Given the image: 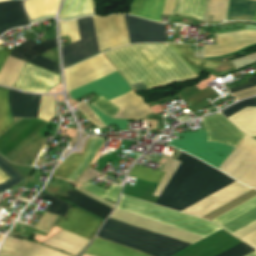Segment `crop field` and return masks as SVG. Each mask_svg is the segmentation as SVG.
Here are the masks:
<instances>
[{"label":"crop field","instance_id":"obj_1","mask_svg":"<svg viewBox=\"0 0 256 256\" xmlns=\"http://www.w3.org/2000/svg\"><path fill=\"white\" fill-rule=\"evenodd\" d=\"M196 74L192 65L215 68L219 63L194 57L189 46L169 44ZM168 44H138L105 53L118 70L133 84L143 81L148 89L196 77L190 68ZM141 83L133 84L137 90L147 89Z\"/></svg>","mask_w":256,"mask_h":256},{"label":"crop field","instance_id":"obj_2","mask_svg":"<svg viewBox=\"0 0 256 256\" xmlns=\"http://www.w3.org/2000/svg\"><path fill=\"white\" fill-rule=\"evenodd\" d=\"M99 50L114 49L139 42H166L165 26L138 17L115 14L93 17ZM92 17L77 20L81 40L63 47L64 67L99 52ZM76 20L60 22L61 36L70 35L72 42L80 39ZM97 54V53H96Z\"/></svg>","mask_w":256,"mask_h":256},{"label":"crop field","instance_id":"obj_3","mask_svg":"<svg viewBox=\"0 0 256 256\" xmlns=\"http://www.w3.org/2000/svg\"><path fill=\"white\" fill-rule=\"evenodd\" d=\"M113 71H115V69L102 54L70 67L64 70L67 91L70 92ZM90 91H94L111 99L131 91V88L125 82L123 77L115 71L70 92V96L72 99H75ZM111 100L122 109L102 96L98 98L93 105L111 117L121 109L113 116L118 118L142 116L151 112L143 99L138 97L133 91Z\"/></svg>","mask_w":256,"mask_h":256},{"label":"crop field","instance_id":"obj_4","mask_svg":"<svg viewBox=\"0 0 256 256\" xmlns=\"http://www.w3.org/2000/svg\"><path fill=\"white\" fill-rule=\"evenodd\" d=\"M116 208L204 237L221 229L207 220L170 210L124 195H121ZM117 209L114 211V213L112 212L113 214L110 216V218L123 221L191 244L204 238Z\"/></svg>","mask_w":256,"mask_h":256},{"label":"crop field","instance_id":"obj_5","mask_svg":"<svg viewBox=\"0 0 256 256\" xmlns=\"http://www.w3.org/2000/svg\"><path fill=\"white\" fill-rule=\"evenodd\" d=\"M178 170L156 201L181 211L234 180L182 152Z\"/></svg>","mask_w":256,"mask_h":256},{"label":"crop field","instance_id":"obj_6","mask_svg":"<svg viewBox=\"0 0 256 256\" xmlns=\"http://www.w3.org/2000/svg\"><path fill=\"white\" fill-rule=\"evenodd\" d=\"M151 256H171L191 245L108 218L98 235Z\"/></svg>","mask_w":256,"mask_h":256},{"label":"crop field","instance_id":"obj_7","mask_svg":"<svg viewBox=\"0 0 256 256\" xmlns=\"http://www.w3.org/2000/svg\"><path fill=\"white\" fill-rule=\"evenodd\" d=\"M15 125L0 135V154L13 163L33 165L48 126L39 119L14 118Z\"/></svg>","mask_w":256,"mask_h":256},{"label":"crop field","instance_id":"obj_8","mask_svg":"<svg viewBox=\"0 0 256 256\" xmlns=\"http://www.w3.org/2000/svg\"><path fill=\"white\" fill-rule=\"evenodd\" d=\"M207 0H134L131 14L160 22L161 15L195 17L202 21ZM256 1V0H252ZM228 0H219L214 21L226 19Z\"/></svg>","mask_w":256,"mask_h":256},{"label":"crop field","instance_id":"obj_9","mask_svg":"<svg viewBox=\"0 0 256 256\" xmlns=\"http://www.w3.org/2000/svg\"><path fill=\"white\" fill-rule=\"evenodd\" d=\"M218 169L248 185L256 176V141L246 136ZM249 186L256 188V177Z\"/></svg>","mask_w":256,"mask_h":256},{"label":"crop field","instance_id":"obj_10","mask_svg":"<svg viewBox=\"0 0 256 256\" xmlns=\"http://www.w3.org/2000/svg\"><path fill=\"white\" fill-rule=\"evenodd\" d=\"M197 133L177 134L184 136L183 140H173L170 145L175 146L189 154H192L216 168L230 154L234 147L219 143H206L205 130H196Z\"/></svg>","mask_w":256,"mask_h":256},{"label":"crop field","instance_id":"obj_11","mask_svg":"<svg viewBox=\"0 0 256 256\" xmlns=\"http://www.w3.org/2000/svg\"><path fill=\"white\" fill-rule=\"evenodd\" d=\"M89 139L86 143V149L84 153L76 154L73 153L67 159H65L58 167L54 176H57L62 179H66L67 176L71 173V171L75 168V166L80 162V160L84 157L87 151ZM105 139L100 137H91L90 144L88 148V152L85 157L81 160V162L77 165V167L72 171V173L68 176L67 180L74 182L77 177L84 171V169L89 165V163L93 160L94 156L98 152L99 148L103 144ZM99 172L89 168L84 175L78 180V182L84 184L87 181L95 178Z\"/></svg>","mask_w":256,"mask_h":256},{"label":"crop field","instance_id":"obj_12","mask_svg":"<svg viewBox=\"0 0 256 256\" xmlns=\"http://www.w3.org/2000/svg\"><path fill=\"white\" fill-rule=\"evenodd\" d=\"M53 197V196H52ZM50 196H47L43 193H41L38 198H42L45 200H48L52 202L47 209V212L58 214L61 216H65L67 210L71 207L55 198H52ZM64 198L68 199L72 203L76 204L77 206L105 219L106 216L111 211V208L87 197L86 195L74 190H68V192L65 194Z\"/></svg>","mask_w":256,"mask_h":256},{"label":"crop field","instance_id":"obj_13","mask_svg":"<svg viewBox=\"0 0 256 256\" xmlns=\"http://www.w3.org/2000/svg\"><path fill=\"white\" fill-rule=\"evenodd\" d=\"M240 242L221 229L173 256H215Z\"/></svg>","mask_w":256,"mask_h":256},{"label":"crop field","instance_id":"obj_14","mask_svg":"<svg viewBox=\"0 0 256 256\" xmlns=\"http://www.w3.org/2000/svg\"><path fill=\"white\" fill-rule=\"evenodd\" d=\"M201 120L208 133L207 142H219L236 147L245 136L219 113Z\"/></svg>","mask_w":256,"mask_h":256},{"label":"crop field","instance_id":"obj_15","mask_svg":"<svg viewBox=\"0 0 256 256\" xmlns=\"http://www.w3.org/2000/svg\"><path fill=\"white\" fill-rule=\"evenodd\" d=\"M101 223L102 220L71 207L65 218L59 216L55 226L91 241Z\"/></svg>","mask_w":256,"mask_h":256},{"label":"crop field","instance_id":"obj_16","mask_svg":"<svg viewBox=\"0 0 256 256\" xmlns=\"http://www.w3.org/2000/svg\"><path fill=\"white\" fill-rule=\"evenodd\" d=\"M249 190L235 181L182 212L201 217Z\"/></svg>","mask_w":256,"mask_h":256},{"label":"crop field","instance_id":"obj_17","mask_svg":"<svg viewBox=\"0 0 256 256\" xmlns=\"http://www.w3.org/2000/svg\"><path fill=\"white\" fill-rule=\"evenodd\" d=\"M60 81V76L28 63L15 88L27 92L46 93Z\"/></svg>","mask_w":256,"mask_h":256},{"label":"crop field","instance_id":"obj_18","mask_svg":"<svg viewBox=\"0 0 256 256\" xmlns=\"http://www.w3.org/2000/svg\"><path fill=\"white\" fill-rule=\"evenodd\" d=\"M217 41H221V45L205 46L204 57L215 56L227 52L235 51L246 45L256 42V32L241 31L227 34L217 35Z\"/></svg>","mask_w":256,"mask_h":256},{"label":"crop field","instance_id":"obj_19","mask_svg":"<svg viewBox=\"0 0 256 256\" xmlns=\"http://www.w3.org/2000/svg\"><path fill=\"white\" fill-rule=\"evenodd\" d=\"M10 237L0 250L1 256H68L40 244Z\"/></svg>","mask_w":256,"mask_h":256},{"label":"crop field","instance_id":"obj_20","mask_svg":"<svg viewBox=\"0 0 256 256\" xmlns=\"http://www.w3.org/2000/svg\"><path fill=\"white\" fill-rule=\"evenodd\" d=\"M29 24L22 1H8L0 3V34L21 25Z\"/></svg>","mask_w":256,"mask_h":256},{"label":"crop field","instance_id":"obj_21","mask_svg":"<svg viewBox=\"0 0 256 256\" xmlns=\"http://www.w3.org/2000/svg\"><path fill=\"white\" fill-rule=\"evenodd\" d=\"M41 96L9 91V102L13 117L37 118Z\"/></svg>","mask_w":256,"mask_h":256},{"label":"crop field","instance_id":"obj_22","mask_svg":"<svg viewBox=\"0 0 256 256\" xmlns=\"http://www.w3.org/2000/svg\"><path fill=\"white\" fill-rule=\"evenodd\" d=\"M88 243L89 241L63 230L49 240L45 241L43 244L76 256Z\"/></svg>","mask_w":256,"mask_h":256},{"label":"crop field","instance_id":"obj_23","mask_svg":"<svg viewBox=\"0 0 256 256\" xmlns=\"http://www.w3.org/2000/svg\"><path fill=\"white\" fill-rule=\"evenodd\" d=\"M57 46V40L54 38L53 40H46L40 44H36L32 40L25 41L17 48L11 51L10 56L21 59L23 61L28 62L37 54L41 55L42 53L54 48Z\"/></svg>","mask_w":256,"mask_h":256},{"label":"crop field","instance_id":"obj_24","mask_svg":"<svg viewBox=\"0 0 256 256\" xmlns=\"http://www.w3.org/2000/svg\"><path fill=\"white\" fill-rule=\"evenodd\" d=\"M97 256H146L142 253L95 238L92 245L85 251Z\"/></svg>","mask_w":256,"mask_h":256},{"label":"crop field","instance_id":"obj_25","mask_svg":"<svg viewBox=\"0 0 256 256\" xmlns=\"http://www.w3.org/2000/svg\"><path fill=\"white\" fill-rule=\"evenodd\" d=\"M256 13V2L246 0H230L228 21L251 20Z\"/></svg>","mask_w":256,"mask_h":256},{"label":"crop field","instance_id":"obj_26","mask_svg":"<svg viewBox=\"0 0 256 256\" xmlns=\"http://www.w3.org/2000/svg\"><path fill=\"white\" fill-rule=\"evenodd\" d=\"M228 120L248 135L256 136V108H247Z\"/></svg>","mask_w":256,"mask_h":256},{"label":"crop field","instance_id":"obj_27","mask_svg":"<svg viewBox=\"0 0 256 256\" xmlns=\"http://www.w3.org/2000/svg\"><path fill=\"white\" fill-rule=\"evenodd\" d=\"M158 184L143 180H137L134 187L125 185L122 194L137 197L155 203L157 197L152 196Z\"/></svg>","mask_w":256,"mask_h":256},{"label":"crop field","instance_id":"obj_28","mask_svg":"<svg viewBox=\"0 0 256 256\" xmlns=\"http://www.w3.org/2000/svg\"><path fill=\"white\" fill-rule=\"evenodd\" d=\"M24 65L25 62L8 56L2 70L0 71V85L13 87Z\"/></svg>","mask_w":256,"mask_h":256},{"label":"crop field","instance_id":"obj_29","mask_svg":"<svg viewBox=\"0 0 256 256\" xmlns=\"http://www.w3.org/2000/svg\"><path fill=\"white\" fill-rule=\"evenodd\" d=\"M58 3L59 0H27L25 1V7L31 19H33L41 15L55 14Z\"/></svg>","mask_w":256,"mask_h":256},{"label":"crop field","instance_id":"obj_30","mask_svg":"<svg viewBox=\"0 0 256 256\" xmlns=\"http://www.w3.org/2000/svg\"><path fill=\"white\" fill-rule=\"evenodd\" d=\"M92 12L93 9L90 0H65L60 17H71Z\"/></svg>","mask_w":256,"mask_h":256},{"label":"crop field","instance_id":"obj_31","mask_svg":"<svg viewBox=\"0 0 256 256\" xmlns=\"http://www.w3.org/2000/svg\"><path fill=\"white\" fill-rule=\"evenodd\" d=\"M0 169L10 177L9 178L4 172L0 170V183L4 182L6 179L9 178L4 183L0 184V191L8 189L11 186L15 185L17 182H19L20 180L24 179L13 167H11L1 157H0Z\"/></svg>","mask_w":256,"mask_h":256},{"label":"crop field","instance_id":"obj_32","mask_svg":"<svg viewBox=\"0 0 256 256\" xmlns=\"http://www.w3.org/2000/svg\"><path fill=\"white\" fill-rule=\"evenodd\" d=\"M256 207V197L250 199L249 201L237 206L236 208L224 213L223 215L211 220L212 222L218 224V225H223L230 220L240 216L241 214L249 211L250 209Z\"/></svg>","mask_w":256,"mask_h":256},{"label":"crop field","instance_id":"obj_33","mask_svg":"<svg viewBox=\"0 0 256 256\" xmlns=\"http://www.w3.org/2000/svg\"><path fill=\"white\" fill-rule=\"evenodd\" d=\"M13 124L7 101V90L0 88V134Z\"/></svg>","mask_w":256,"mask_h":256},{"label":"crop field","instance_id":"obj_34","mask_svg":"<svg viewBox=\"0 0 256 256\" xmlns=\"http://www.w3.org/2000/svg\"><path fill=\"white\" fill-rule=\"evenodd\" d=\"M256 196V190H251L245 194H243L242 196L232 200L231 202L225 204L224 206H222L221 208L215 210L214 212L202 217V218H205L207 220H211L221 214H223L224 212L236 207L237 205L249 200L250 198Z\"/></svg>","mask_w":256,"mask_h":256},{"label":"crop field","instance_id":"obj_35","mask_svg":"<svg viewBox=\"0 0 256 256\" xmlns=\"http://www.w3.org/2000/svg\"><path fill=\"white\" fill-rule=\"evenodd\" d=\"M80 187L96 196H99L101 198L105 197V198L115 201V202L117 200V197H118L120 189H121V187L116 186L114 184H112V186L109 188L108 191L105 189H102L100 187L93 186L89 183H86Z\"/></svg>","mask_w":256,"mask_h":256},{"label":"crop field","instance_id":"obj_36","mask_svg":"<svg viewBox=\"0 0 256 256\" xmlns=\"http://www.w3.org/2000/svg\"><path fill=\"white\" fill-rule=\"evenodd\" d=\"M129 176L160 183L164 173L146 169L135 164Z\"/></svg>","mask_w":256,"mask_h":256},{"label":"crop field","instance_id":"obj_37","mask_svg":"<svg viewBox=\"0 0 256 256\" xmlns=\"http://www.w3.org/2000/svg\"><path fill=\"white\" fill-rule=\"evenodd\" d=\"M56 116L55 102L51 96H42L38 118L48 123Z\"/></svg>","mask_w":256,"mask_h":256},{"label":"crop field","instance_id":"obj_38","mask_svg":"<svg viewBox=\"0 0 256 256\" xmlns=\"http://www.w3.org/2000/svg\"><path fill=\"white\" fill-rule=\"evenodd\" d=\"M254 220H256V208L221 227L232 233Z\"/></svg>","mask_w":256,"mask_h":256},{"label":"crop field","instance_id":"obj_39","mask_svg":"<svg viewBox=\"0 0 256 256\" xmlns=\"http://www.w3.org/2000/svg\"><path fill=\"white\" fill-rule=\"evenodd\" d=\"M34 233L45 236V237H47V235H48V232L35 229L31 226H28V225L20 223V222L16 223L14 228L11 230L10 235L30 238L33 236Z\"/></svg>","mask_w":256,"mask_h":256},{"label":"crop field","instance_id":"obj_40","mask_svg":"<svg viewBox=\"0 0 256 256\" xmlns=\"http://www.w3.org/2000/svg\"><path fill=\"white\" fill-rule=\"evenodd\" d=\"M233 234L256 249V221Z\"/></svg>","mask_w":256,"mask_h":256},{"label":"crop field","instance_id":"obj_41","mask_svg":"<svg viewBox=\"0 0 256 256\" xmlns=\"http://www.w3.org/2000/svg\"><path fill=\"white\" fill-rule=\"evenodd\" d=\"M247 82L249 84L238 87V88H234V89H230V93L247 88V87H251V86H255L256 85V76L247 79ZM256 94V87H252V88H248V89H244L235 93H232V95L236 98V100L245 98L247 96H251V95H255Z\"/></svg>","mask_w":256,"mask_h":256},{"label":"crop field","instance_id":"obj_42","mask_svg":"<svg viewBox=\"0 0 256 256\" xmlns=\"http://www.w3.org/2000/svg\"><path fill=\"white\" fill-rule=\"evenodd\" d=\"M29 63L34 64L36 66H39L41 68H44L46 70H49L51 72L60 74V69L57 62H54L52 60L46 59L41 56L34 57Z\"/></svg>","mask_w":256,"mask_h":256},{"label":"crop field","instance_id":"obj_43","mask_svg":"<svg viewBox=\"0 0 256 256\" xmlns=\"http://www.w3.org/2000/svg\"><path fill=\"white\" fill-rule=\"evenodd\" d=\"M76 107L87 117L89 122H91L92 124L96 125L101 129L106 127L86 103L82 102Z\"/></svg>","mask_w":256,"mask_h":256},{"label":"crop field","instance_id":"obj_44","mask_svg":"<svg viewBox=\"0 0 256 256\" xmlns=\"http://www.w3.org/2000/svg\"><path fill=\"white\" fill-rule=\"evenodd\" d=\"M253 250L255 249L242 242L217 256H244Z\"/></svg>","mask_w":256,"mask_h":256},{"label":"crop field","instance_id":"obj_45","mask_svg":"<svg viewBox=\"0 0 256 256\" xmlns=\"http://www.w3.org/2000/svg\"><path fill=\"white\" fill-rule=\"evenodd\" d=\"M246 107H256V100L255 98H251L249 100L241 101L233 106L221 111L226 117L233 115L234 113L246 108Z\"/></svg>","mask_w":256,"mask_h":256},{"label":"crop field","instance_id":"obj_46","mask_svg":"<svg viewBox=\"0 0 256 256\" xmlns=\"http://www.w3.org/2000/svg\"><path fill=\"white\" fill-rule=\"evenodd\" d=\"M58 216L44 212L35 227L50 232Z\"/></svg>","mask_w":256,"mask_h":256},{"label":"crop field","instance_id":"obj_47","mask_svg":"<svg viewBox=\"0 0 256 256\" xmlns=\"http://www.w3.org/2000/svg\"><path fill=\"white\" fill-rule=\"evenodd\" d=\"M89 106L93 109V111L102 119V121L107 126L115 124L119 129L126 128V120L110 118V117L106 116L105 114H103L102 112H100L99 110H97L96 108H94L93 106H91V105H89Z\"/></svg>","mask_w":256,"mask_h":256},{"label":"crop field","instance_id":"obj_48","mask_svg":"<svg viewBox=\"0 0 256 256\" xmlns=\"http://www.w3.org/2000/svg\"><path fill=\"white\" fill-rule=\"evenodd\" d=\"M2 49V47H0V50ZM10 53V50L8 49H5L3 48L1 51H0V69L1 67L3 66L7 56L9 55Z\"/></svg>","mask_w":256,"mask_h":256},{"label":"crop field","instance_id":"obj_49","mask_svg":"<svg viewBox=\"0 0 256 256\" xmlns=\"http://www.w3.org/2000/svg\"><path fill=\"white\" fill-rule=\"evenodd\" d=\"M76 189L79 190V191H81V192H83L84 194H86V195H88V196H90V197H92V198H94V199H96V200H98V201H100V202H102V203H104V204H106V205L112 207V208L114 207V204H112V203H110V202H107V201H105V200H102V199H100V198H98V197H95V196H93L92 194H90V193H88V192H86V191L80 189L79 187H77Z\"/></svg>","mask_w":256,"mask_h":256},{"label":"crop field","instance_id":"obj_50","mask_svg":"<svg viewBox=\"0 0 256 256\" xmlns=\"http://www.w3.org/2000/svg\"><path fill=\"white\" fill-rule=\"evenodd\" d=\"M213 79H215V77L209 75L207 79L201 81V82H200L199 84H197L196 86H197L200 90H202V89L208 87L206 84L209 83L210 81H212Z\"/></svg>","mask_w":256,"mask_h":256},{"label":"crop field","instance_id":"obj_51","mask_svg":"<svg viewBox=\"0 0 256 256\" xmlns=\"http://www.w3.org/2000/svg\"><path fill=\"white\" fill-rule=\"evenodd\" d=\"M247 256H256V251L251 253V254H249V255H247Z\"/></svg>","mask_w":256,"mask_h":256},{"label":"crop field","instance_id":"obj_52","mask_svg":"<svg viewBox=\"0 0 256 256\" xmlns=\"http://www.w3.org/2000/svg\"><path fill=\"white\" fill-rule=\"evenodd\" d=\"M1 229H2V230H6V231H8V228L3 227V226L1 227Z\"/></svg>","mask_w":256,"mask_h":256},{"label":"crop field","instance_id":"obj_53","mask_svg":"<svg viewBox=\"0 0 256 256\" xmlns=\"http://www.w3.org/2000/svg\"><path fill=\"white\" fill-rule=\"evenodd\" d=\"M254 22H256V15H255V18H254V20H253Z\"/></svg>","mask_w":256,"mask_h":256},{"label":"crop field","instance_id":"obj_54","mask_svg":"<svg viewBox=\"0 0 256 256\" xmlns=\"http://www.w3.org/2000/svg\"><path fill=\"white\" fill-rule=\"evenodd\" d=\"M84 256H90V255L85 254Z\"/></svg>","mask_w":256,"mask_h":256},{"label":"crop field","instance_id":"obj_55","mask_svg":"<svg viewBox=\"0 0 256 256\" xmlns=\"http://www.w3.org/2000/svg\"><path fill=\"white\" fill-rule=\"evenodd\" d=\"M85 253H83L81 256H83Z\"/></svg>","mask_w":256,"mask_h":256},{"label":"crop field","instance_id":"obj_56","mask_svg":"<svg viewBox=\"0 0 256 256\" xmlns=\"http://www.w3.org/2000/svg\"><path fill=\"white\" fill-rule=\"evenodd\" d=\"M253 138H255V139H256V137H253Z\"/></svg>","mask_w":256,"mask_h":256},{"label":"crop field","instance_id":"obj_57","mask_svg":"<svg viewBox=\"0 0 256 256\" xmlns=\"http://www.w3.org/2000/svg\"><path fill=\"white\" fill-rule=\"evenodd\" d=\"M0 1H4V0H0Z\"/></svg>","mask_w":256,"mask_h":256}]
</instances>
